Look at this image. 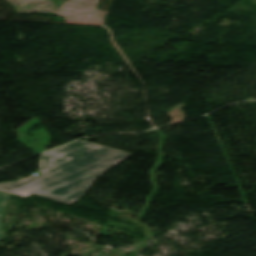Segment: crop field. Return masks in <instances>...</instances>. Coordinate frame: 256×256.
Segmentation results:
<instances>
[{
	"label": "crop field",
	"instance_id": "8a807250",
	"mask_svg": "<svg viewBox=\"0 0 256 256\" xmlns=\"http://www.w3.org/2000/svg\"><path fill=\"white\" fill-rule=\"evenodd\" d=\"M129 155L131 154L80 140L41 155L38 171L42 175H30L9 183L2 182L0 192L23 197L35 193L72 205L102 173Z\"/></svg>",
	"mask_w": 256,
	"mask_h": 256
},
{
	"label": "crop field",
	"instance_id": "ac0d7876",
	"mask_svg": "<svg viewBox=\"0 0 256 256\" xmlns=\"http://www.w3.org/2000/svg\"><path fill=\"white\" fill-rule=\"evenodd\" d=\"M8 198H9V195L0 193V217H1V214L3 212L4 206H5ZM3 236L4 235H3V232H2L1 227H0V238L3 237Z\"/></svg>",
	"mask_w": 256,
	"mask_h": 256
}]
</instances>
